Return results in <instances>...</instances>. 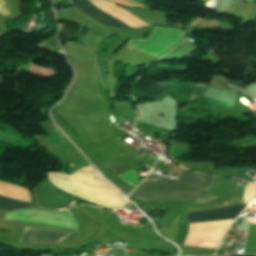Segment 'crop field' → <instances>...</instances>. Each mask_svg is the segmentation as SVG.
Returning a JSON list of instances; mask_svg holds the SVG:
<instances>
[{
	"label": "crop field",
	"instance_id": "obj_2",
	"mask_svg": "<svg viewBox=\"0 0 256 256\" xmlns=\"http://www.w3.org/2000/svg\"><path fill=\"white\" fill-rule=\"evenodd\" d=\"M245 206L246 204H235L224 208L189 213V223L236 218Z\"/></svg>",
	"mask_w": 256,
	"mask_h": 256
},
{
	"label": "crop field",
	"instance_id": "obj_5",
	"mask_svg": "<svg viewBox=\"0 0 256 256\" xmlns=\"http://www.w3.org/2000/svg\"><path fill=\"white\" fill-rule=\"evenodd\" d=\"M28 207H31L30 202L0 195V209L2 210L12 211V210L28 208Z\"/></svg>",
	"mask_w": 256,
	"mask_h": 256
},
{
	"label": "crop field",
	"instance_id": "obj_6",
	"mask_svg": "<svg viewBox=\"0 0 256 256\" xmlns=\"http://www.w3.org/2000/svg\"><path fill=\"white\" fill-rule=\"evenodd\" d=\"M119 177H121L124 181H126L133 187L136 185V183L139 180L136 173L133 170L126 172L124 174H121L119 175Z\"/></svg>",
	"mask_w": 256,
	"mask_h": 256
},
{
	"label": "crop field",
	"instance_id": "obj_7",
	"mask_svg": "<svg viewBox=\"0 0 256 256\" xmlns=\"http://www.w3.org/2000/svg\"><path fill=\"white\" fill-rule=\"evenodd\" d=\"M242 219H243V218H239V219L236 221V223H237L238 225H240V224H241ZM243 220H244V219H243Z\"/></svg>",
	"mask_w": 256,
	"mask_h": 256
},
{
	"label": "crop field",
	"instance_id": "obj_3",
	"mask_svg": "<svg viewBox=\"0 0 256 256\" xmlns=\"http://www.w3.org/2000/svg\"><path fill=\"white\" fill-rule=\"evenodd\" d=\"M76 6H78L83 13L89 15L90 17H92L94 20H96L101 24L122 27V28H129L123 23L119 22L118 20L102 12L92 3L91 0H77Z\"/></svg>",
	"mask_w": 256,
	"mask_h": 256
},
{
	"label": "crop field",
	"instance_id": "obj_8",
	"mask_svg": "<svg viewBox=\"0 0 256 256\" xmlns=\"http://www.w3.org/2000/svg\"><path fill=\"white\" fill-rule=\"evenodd\" d=\"M235 256H252V255H235Z\"/></svg>",
	"mask_w": 256,
	"mask_h": 256
},
{
	"label": "crop field",
	"instance_id": "obj_4",
	"mask_svg": "<svg viewBox=\"0 0 256 256\" xmlns=\"http://www.w3.org/2000/svg\"><path fill=\"white\" fill-rule=\"evenodd\" d=\"M67 236L69 235H63V234L25 228L20 241L38 243V244L56 245Z\"/></svg>",
	"mask_w": 256,
	"mask_h": 256
},
{
	"label": "crop field",
	"instance_id": "obj_9",
	"mask_svg": "<svg viewBox=\"0 0 256 256\" xmlns=\"http://www.w3.org/2000/svg\"><path fill=\"white\" fill-rule=\"evenodd\" d=\"M254 179L256 178V174H255V176L253 177Z\"/></svg>",
	"mask_w": 256,
	"mask_h": 256
},
{
	"label": "crop field",
	"instance_id": "obj_1",
	"mask_svg": "<svg viewBox=\"0 0 256 256\" xmlns=\"http://www.w3.org/2000/svg\"><path fill=\"white\" fill-rule=\"evenodd\" d=\"M213 177L181 170L176 181L149 175L131 194L135 199L172 198L184 201L207 202L215 199L207 192Z\"/></svg>",
	"mask_w": 256,
	"mask_h": 256
}]
</instances>
